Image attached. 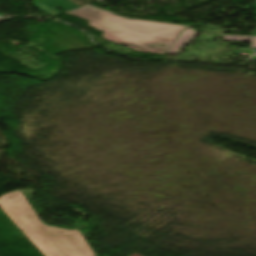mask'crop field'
Wrapping results in <instances>:
<instances>
[{
    "label": "crop field",
    "mask_w": 256,
    "mask_h": 256,
    "mask_svg": "<svg viewBox=\"0 0 256 256\" xmlns=\"http://www.w3.org/2000/svg\"><path fill=\"white\" fill-rule=\"evenodd\" d=\"M0 208L44 256H96L81 231L42 223L20 190L1 196Z\"/></svg>",
    "instance_id": "crop-field-2"
},
{
    "label": "crop field",
    "mask_w": 256,
    "mask_h": 256,
    "mask_svg": "<svg viewBox=\"0 0 256 256\" xmlns=\"http://www.w3.org/2000/svg\"><path fill=\"white\" fill-rule=\"evenodd\" d=\"M224 40L251 42V36L223 35Z\"/></svg>",
    "instance_id": "crop-field-4"
},
{
    "label": "crop field",
    "mask_w": 256,
    "mask_h": 256,
    "mask_svg": "<svg viewBox=\"0 0 256 256\" xmlns=\"http://www.w3.org/2000/svg\"><path fill=\"white\" fill-rule=\"evenodd\" d=\"M252 47L256 48V36H254V38H253V44H252Z\"/></svg>",
    "instance_id": "crop-field-5"
},
{
    "label": "crop field",
    "mask_w": 256,
    "mask_h": 256,
    "mask_svg": "<svg viewBox=\"0 0 256 256\" xmlns=\"http://www.w3.org/2000/svg\"><path fill=\"white\" fill-rule=\"evenodd\" d=\"M66 14L85 18L89 25L105 31L103 37L135 51L165 54L168 47L188 26L146 20H126L99 8H78ZM162 44V47H155Z\"/></svg>",
    "instance_id": "crop-field-1"
},
{
    "label": "crop field",
    "mask_w": 256,
    "mask_h": 256,
    "mask_svg": "<svg viewBox=\"0 0 256 256\" xmlns=\"http://www.w3.org/2000/svg\"><path fill=\"white\" fill-rule=\"evenodd\" d=\"M256 9V5L253 6ZM256 15V14H255Z\"/></svg>",
    "instance_id": "crop-field-6"
},
{
    "label": "crop field",
    "mask_w": 256,
    "mask_h": 256,
    "mask_svg": "<svg viewBox=\"0 0 256 256\" xmlns=\"http://www.w3.org/2000/svg\"><path fill=\"white\" fill-rule=\"evenodd\" d=\"M198 32L187 29L175 40V42L166 51V54L177 55L185 43H189Z\"/></svg>",
    "instance_id": "crop-field-3"
}]
</instances>
